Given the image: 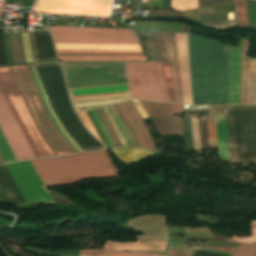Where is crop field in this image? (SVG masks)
Wrapping results in <instances>:
<instances>
[{"label": "crop field", "mask_w": 256, "mask_h": 256, "mask_svg": "<svg viewBox=\"0 0 256 256\" xmlns=\"http://www.w3.org/2000/svg\"><path fill=\"white\" fill-rule=\"evenodd\" d=\"M31 162L45 187L70 185L91 178L119 177L107 150Z\"/></svg>", "instance_id": "1"}, {"label": "crop field", "mask_w": 256, "mask_h": 256, "mask_svg": "<svg viewBox=\"0 0 256 256\" xmlns=\"http://www.w3.org/2000/svg\"><path fill=\"white\" fill-rule=\"evenodd\" d=\"M33 67V66H32ZM32 67L30 66V70L31 73L33 75V78L35 80V83L37 85L38 91L40 93V96L42 98V101L44 103V106L47 110V112L49 113L50 117L52 118V120L54 121L55 125L57 126V128L59 129L60 133L64 136V138L69 142V144L74 148V150L76 152H79V148L78 146L69 138V136L64 132L62 126L60 125L59 121L57 120L55 114L53 113L48 100L46 98V95L43 91V88L41 86V83L38 79H37L40 83V86L42 88V91L45 95V98L47 100V103L52 111V113L54 114L56 120L58 121L59 125L61 126L63 132L68 136V138L77 146H76L67 138V136L62 132L61 128L59 127L57 121L55 120L54 116L52 115L46 100L44 98V95L41 91V88L39 86V83L36 79V76L34 74V71L32 69ZM28 67L26 66H17V67H9V70L14 78V81L19 89V92L35 122V124L37 125L41 135L43 136V138L45 139V141L48 143V145L50 146V148L52 149V151L55 153L56 156H61V155H67V154H73L75 151L73 150V148L68 144V142L63 138V136L59 133V131L57 130L56 126L54 125V123L52 122L51 118L49 117V115L47 114L43 103L41 101V98L39 96V93L37 91L36 85L34 83V80L32 78V75L30 73ZM81 151V150H80Z\"/></svg>", "instance_id": "2"}, {"label": "crop field", "mask_w": 256, "mask_h": 256, "mask_svg": "<svg viewBox=\"0 0 256 256\" xmlns=\"http://www.w3.org/2000/svg\"><path fill=\"white\" fill-rule=\"evenodd\" d=\"M0 89L27 138L36 158L53 157L54 154L40 135L13 82L8 67L0 68Z\"/></svg>", "instance_id": "3"}, {"label": "crop field", "mask_w": 256, "mask_h": 256, "mask_svg": "<svg viewBox=\"0 0 256 256\" xmlns=\"http://www.w3.org/2000/svg\"><path fill=\"white\" fill-rule=\"evenodd\" d=\"M133 99L169 101L161 62H126Z\"/></svg>", "instance_id": "4"}, {"label": "crop field", "mask_w": 256, "mask_h": 256, "mask_svg": "<svg viewBox=\"0 0 256 256\" xmlns=\"http://www.w3.org/2000/svg\"><path fill=\"white\" fill-rule=\"evenodd\" d=\"M55 43L139 44L131 30L50 26Z\"/></svg>", "instance_id": "5"}, {"label": "crop field", "mask_w": 256, "mask_h": 256, "mask_svg": "<svg viewBox=\"0 0 256 256\" xmlns=\"http://www.w3.org/2000/svg\"><path fill=\"white\" fill-rule=\"evenodd\" d=\"M110 113L112 114L115 122L117 123L119 129L123 130V132L125 133L130 145H134L132 139L130 138L128 132L126 131L124 125L122 124L121 120L119 119L117 113L115 112L113 106H111V109L116 117H114L110 107H108ZM107 107L104 108H100V109H96V110H92V111H88V112H84V113H80V117L82 118V120L85 122V124L87 125V127L89 128V130L94 133L106 146H122V145H127L128 141L124 135V133L120 132V130L118 129L116 123L114 122L111 114L109 113ZM128 143V145H129Z\"/></svg>", "instance_id": "6"}, {"label": "crop field", "mask_w": 256, "mask_h": 256, "mask_svg": "<svg viewBox=\"0 0 256 256\" xmlns=\"http://www.w3.org/2000/svg\"><path fill=\"white\" fill-rule=\"evenodd\" d=\"M6 167L18 185L27 204L53 202L30 160L7 164Z\"/></svg>", "instance_id": "7"}, {"label": "crop field", "mask_w": 256, "mask_h": 256, "mask_svg": "<svg viewBox=\"0 0 256 256\" xmlns=\"http://www.w3.org/2000/svg\"><path fill=\"white\" fill-rule=\"evenodd\" d=\"M111 0H39L33 11L109 17Z\"/></svg>", "instance_id": "8"}, {"label": "crop field", "mask_w": 256, "mask_h": 256, "mask_svg": "<svg viewBox=\"0 0 256 256\" xmlns=\"http://www.w3.org/2000/svg\"><path fill=\"white\" fill-rule=\"evenodd\" d=\"M0 128L17 161L35 158L1 91Z\"/></svg>", "instance_id": "9"}, {"label": "crop field", "mask_w": 256, "mask_h": 256, "mask_svg": "<svg viewBox=\"0 0 256 256\" xmlns=\"http://www.w3.org/2000/svg\"><path fill=\"white\" fill-rule=\"evenodd\" d=\"M116 107L131 135L133 136L137 146L159 151L150 132L131 101L116 104Z\"/></svg>", "instance_id": "10"}, {"label": "crop field", "mask_w": 256, "mask_h": 256, "mask_svg": "<svg viewBox=\"0 0 256 256\" xmlns=\"http://www.w3.org/2000/svg\"><path fill=\"white\" fill-rule=\"evenodd\" d=\"M122 90H129L127 85H120V86H106V87H94V88H84V89H74L70 90L72 95H79V94H90V93H100V92H111V91H122ZM129 93V91H122V92H111V93H101V94H90V95H79V96H72V98L77 97H89V96H100V95H112V94H124ZM130 96L129 94L124 95H112V96H101V97H89V98H77L74 99V102L77 101H87V100H97V99H106V98H116V97H126ZM126 98H116V99H106V100H97V101H87V102H77L73 103L76 110H81L89 107H94L102 104H107L115 101H120Z\"/></svg>", "instance_id": "11"}, {"label": "crop field", "mask_w": 256, "mask_h": 256, "mask_svg": "<svg viewBox=\"0 0 256 256\" xmlns=\"http://www.w3.org/2000/svg\"><path fill=\"white\" fill-rule=\"evenodd\" d=\"M160 135H178L170 104L141 101Z\"/></svg>", "instance_id": "12"}, {"label": "crop field", "mask_w": 256, "mask_h": 256, "mask_svg": "<svg viewBox=\"0 0 256 256\" xmlns=\"http://www.w3.org/2000/svg\"><path fill=\"white\" fill-rule=\"evenodd\" d=\"M26 63L33 62L28 35L21 34ZM8 65L25 64L20 34L4 33Z\"/></svg>", "instance_id": "13"}, {"label": "crop field", "mask_w": 256, "mask_h": 256, "mask_svg": "<svg viewBox=\"0 0 256 256\" xmlns=\"http://www.w3.org/2000/svg\"><path fill=\"white\" fill-rule=\"evenodd\" d=\"M159 34H170V33H157V35H158V40H159V44H160L162 58H163V53H164L165 63H166V57H167V63H168V68H169V73H170V78H171L174 98H175V100L180 101L172 37L171 36H163L164 45H165V51H166V57H165V51H164L162 35H160V37H161V42H162V47H163V53H162V48H161V42H160ZM174 42H175V37H174ZM175 50H176V45H175ZM164 58H163V63H164ZM176 58H177V53H176ZM165 63H164V69H165V74H166V79H167V85H168V90H169V95H170V101L172 103V99H173V102H177V101H174V98H173V93H172V88H171V83H170L167 63H166V68H167V73H168V78H169V84H170V89H171V94H172V99H171V94H170V89H169V84H168V78H167ZM177 66H178V61H177ZM178 74H179V69H178ZM179 82H180V77H179ZM180 90H181V85H180ZM181 98H182V93H181ZM177 103H181V102H177ZM182 104H183V101H182Z\"/></svg>", "instance_id": "14"}, {"label": "crop field", "mask_w": 256, "mask_h": 256, "mask_svg": "<svg viewBox=\"0 0 256 256\" xmlns=\"http://www.w3.org/2000/svg\"><path fill=\"white\" fill-rule=\"evenodd\" d=\"M175 37H176L183 101H184V104L186 105H192L186 35L175 34Z\"/></svg>", "instance_id": "15"}, {"label": "crop field", "mask_w": 256, "mask_h": 256, "mask_svg": "<svg viewBox=\"0 0 256 256\" xmlns=\"http://www.w3.org/2000/svg\"><path fill=\"white\" fill-rule=\"evenodd\" d=\"M241 52L229 46V104H239Z\"/></svg>", "instance_id": "16"}, {"label": "crop field", "mask_w": 256, "mask_h": 256, "mask_svg": "<svg viewBox=\"0 0 256 256\" xmlns=\"http://www.w3.org/2000/svg\"><path fill=\"white\" fill-rule=\"evenodd\" d=\"M31 251L53 256H158L156 253H143V252H112V251H99V250H71V251H55L50 249L36 248L25 246Z\"/></svg>", "instance_id": "17"}, {"label": "crop field", "mask_w": 256, "mask_h": 256, "mask_svg": "<svg viewBox=\"0 0 256 256\" xmlns=\"http://www.w3.org/2000/svg\"><path fill=\"white\" fill-rule=\"evenodd\" d=\"M165 242L137 240V243L106 242L103 249L162 252Z\"/></svg>", "instance_id": "18"}, {"label": "crop field", "mask_w": 256, "mask_h": 256, "mask_svg": "<svg viewBox=\"0 0 256 256\" xmlns=\"http://www.w3.org/2000/svg\"><path fill=\"white\" fill-rule=\"evenodd\" d=\"M0 185L9 203L26 204L5 165L0 166Z\"/></svg>", "instance_id": "19"}, {"label": "crop field", "mask_w": 256, "mask_h": 256, "mask_svg": "<svg viewBox=\"0 0 256 256\" xmlns=\"http://www.w3.org/2000/svg\"><path fill=\"white\" fill-rule=\"evenodd\" d=\"M234 9V5L199 9L200 22L236 21L235 15L234 20H228L227 16Z\"/></svg>", "instance_id": "20"}, {"label": "crop field", "mask_w": 256, "mask_h": 256, "mask_svg": "<svg viewBox=\"0 0 256 256\" xmlns=\"http://www.w3.org/2000/svg\"><path fill=\"white\" fill-rule=\"evenodd\" d=\"M57 49L141 51L139 45L55 44Z\"/></svg>", "instance_id": "21"}, {"label": "crop field", "mask_w": 256, "mask_h": 256, "mask_svg": "<svg viewBox=\"0 0 256 256\" xmlns=\"http://www.w3.org/2000/svg\"><path fill=\"white\" fill-rule=\"evenodd\" d=\"M111 150L117 158H119L121 161H123L127 165L133 162H136L142 158L148 157L150 155L159 154L156 152H151L141 148H133V147L118 148V149H111Z\"/></svg>", "instance_id": "22"}, {"label": "crop field", "mask_w": 256, "mask_h": 256, "mask_svg": "<svg viewBox=\"0 0 256 256\" xmlns=\"http://www.w3.org/2000/svg\"><path fill=\"white\" fill-rule=\"evenodd\" d=\"M216 122L219 160H229L226 135V114L216 115Z\"/></svg>", "instance_id": "23"}, {"label": "crop field", "mask_w": 256, "mask_h": 256, "mask_svg": "<svg viewBox=\"0 0 256 256\" xmlns=\"http://www.w3.org/2000/svg\"><path fill=\"white\" fill-rule=\"evenodd\" d=\"M207 249L218 250L226 253L233 254V256H256V243L246 245L239 243L237 247H207Z\"/></svg>", "instance_id": "24"}, {"label": "crop field", "mask_w": 256, "mask_h": 256, "mask_svg": "<svg viewBox=\"0 0 256 256\" xmlns=\"http://www.w3.org/2000/svg\"><path fill=\"white\" fill-rule=\"evenodd\" d=\"M247 104H256V60L249 59Z\"/></svg>", "instance_id": "25"}, {"label": "crop field", "mask_w": 256, "mask_h": 256, "mask_svg": "<svg viewBox=\"0 0 256 256\" xmlns=\"http://www.w3.org/2000/svg\"><path fill=\"white\" fill-rule=\"evenodd\" d=\"M60 61L146 60L145 57H58Z\"/></svg>", "instance_id": "26"}, {"label": "crop field", "mask_w": 256, "mask_h": 256, "mask_svg": "<svg viewBox=\"0 0 256 256\" xmlns=\"http://www.w3.org/2000/svg\"><path fill=\"white\" fill-rule=\"evenodd\" d=\"M248 58L242 54L240 104H246Z\"/></svg>", "instance_id": "27"}, {"label": "crop field", "mask_w": 256, "mask_h": 256, "mask_svg": "<svg viewBox=\"0 0 256 256\" xmlns=\"http://www.w3.org/2000/svg\"><path fill=\"white\" fill-rule=\"evenodd\" d=\"M237 8V27L248 29V19L245 0H235Z\"/></svg>", "instance_id": "28"}, {"label": "crop field", "mask_w": 256, "mask_h": 256, "mask_svg": "<svg viewBox=\"0 0 256 256\" xmlns=\"http://www.w3.org/2000/svg\"><path fill=\"white\" fill-rule=\"evenodd\" d=\"M0 155L4 163L16 161L10 147L8 146L3 134L0 131Z\"/></svg>", "instance_id": "29"}, {"label": "crop field", "mask_w": 256, "mask_h": 256, "mask_svg": "<svg viewBox=\"0 0 256 256\" xmlns=\"http://www.w3.org/2000/svg\"><path fill=\"white\" fill-rule=\"evenodd\" d=\"M209 147L217 146L215 115L207 116Z\"/></svg>", "instance_id": "30"}, {"label": "crop field", "mask_w": 256, "mask_h": 256, "mask_svg": "<svg viewBox=\"0 0 256 256\" xmlns=\"http://www.w3.org/2000/svg\"><path fill=\"white\" fill-rule=\"evenodd\" d=\"M198 8L197 0H172L171 9L187 10Z\"/></svg>", "instance_id": "31"}, {"label": "crop field", "mask_w": 256, "mask_h": 256, "mask_svg": "<svg viewBox=\"0 0 256 256\" xmlns=\"http://www.w3.org/2000/svg\"><path fill=\"white\" fill-rule=\"evenodd\" d=\"M247 9H248V18H249V29L256 31V1H248Z\"/></svg>", "instance_id": "32"}, {"label": "crop field", "mask_w": 256, "mask_h": 256, "mask_svg": "<svg viewBox=\"0 0 256 256\" xmlns=\"http://www.w3.org/2000/svg\"><path fill=\"white\" fill-rule=\"evenodd\" d=\"M190 121H191V129H192V136H193V142H194V150H198V149H201L198 119L196 120L195 117H192L190 118Z\"/></svg>", "instance_id": "33"}, {"label": "crop field", "mask_w": 256, "mask_h": 256, "mask_svg": "<svg viewBox=\"0 0 256 256\" xmlns=\"http://www.w3.org/2000/svg\"><path fill=\"white\" fill-rule=\"evenodd\" d=\"M251 229L250 231L253 232V235L248 238H237L233 237L228 241H234V242H244V243H253L256 242V221L250 220Z\"/></svg>", "instance_id": "34"}, {"label": "crop field", "mask_w": 256, "mask_h": 256, "mask_svg": "<svg viewBox=\"0 0 256 256\" xmlns=\"http://www.w3.org/2000/svg\"><path fill=\"white\" fill-rule=\"evenodd\" d=\"M57 53H142V52L57 50Z\"/></svg>", "instance_id": "35"}, {"label": "crop field", "mask_w": 256, "mask_h": 256, "mask_svg": "<svg viewBox=\"0 0 256 256\" xmlns=\"http://www.w3.org/2000/svg\"><path fill=\"white\" fill-rule=\"evenodd\" d=\"M60 56H144L143 54H60Z\"/></svg>", "instance_id": "36"}, {"label": "crop field", "mask_w": 256, "mask_h": 256, "mask_svg": "<svg viewBox=\"0 0 256 256\" xmlns=\"http://www.w3.org/2000/svg\"><path fill=\"white\" fill-rule=\"evenodd\" d=\"M153 45L155 60H161L156 33H149Z\"/></svg>", "instance_id": "37"}, {"label": "crop field", "mask_w": 256, "mask_h": 256, "mask_svg": "<svg viewBox=\"0 0 256 256\" xmlns=\"http://www.w3.org/2000/svg\"><path fill=\"white\" fill-rule=\"evenodd\" d=\"M132 101H133L135 107L137 108L139 114L142 116V118L148 115V114L146 115V113H145V111H144L145 109L143 110V108H142V106L140 105L139 101H136V100H132ZM147 117H148V116H147ZM145 118H146V117H145ZM143 119H144V118H143Z\"/></svg>", "instance_id": "38"}, {"label": "crop field", "mask_w": 256, "mask_h": 256, "mask_svg": "<svg viewBox=\"0 0 256 256\" xmlns=\"http://www.w3.org/2000/svg\"><path fill=\"white\" fill-rule=\"evenodd\" d=\"M149 8H163L162 0H149Z\"/></svg>", "instance_id": "39"}, {"label": "crop field", "mask_w": 256, "mask_h": 256, "mask_svg": "<svg viewBox=\"0 0 256 256\" xmlns=\"http://www.w3.org/2000/svg\"><path fill=\"white\" fill-rule=\"evenodd\" d=\"M174 119H175L176 124H177V128H178V133H179V135H184V134H183V129H182L181 117H177V118H174Z\"/></svg>", "instance_id": "40"}, {"label": "crop field", "mask_w": 256, "mask_h": 256, "mask_svg": "<svg viewBox=\"0 0 256 256\" xmlns=\"http://www.w3.org/2000/svg\"><path fill=\"white\" fill-rule=\"evenodd\" d=\"M173 113H179V112H184L183 106L182 105H176V104H171Z\"/></svg>", "instance_id": "41"}, {"label": "crop field", "mask_w": 256, "mask_h": 256, "mask_svg": "<svg viewBox=\"0 0 256 256\" xmlns=\"http://www.w3.org/2000/svg\"><path fill=\"white\" fill-rule=\"evenodd\" d=\"M192 248L202 249V248H198V247H194V246H192ZM202 250H207V249H202ZM208 251H213V250H208ZM213 252H218V251H213ZM218 253H222V252H218ZM224 254H226V253H224Z\"/></svg>", "instance_id": "42"}, {"label": "crop field", "mask_w": 256, "mask_h": 256, "mask_svg": "<svg viewBox=\"0 0 256 256\" xmlns=\"http://www.w3.org/2000/svg\"><path fill=\"white\" fill-rule=\"evenodd\" d=\"M169 243H173V244H177V245H181V246H185V245H182V244H178V243H174V242H170ZM186 247V246H185Z\"/></svg>", "instance_id": "43"}, {"label": "crop field", "mask_w": 256, "mask_h": 256, "mask_svg": "<svg viewBox=\"0 0 256 256\" xmlns=\"http://www.w3.org/2000/svg\"><path fill=\"white\" fill-rule=\"evenodd\" d=\"M1 163H3V161H2V159H1V157H0V164H1Z\"/></svg>", "instance_id": "44"}, {"label": "crop field", "mask_w": 256, "mask_h": 256, "mask_svg": "<svg viewBox=\"0 0 256 256\" xmlns=\"http://www.w3.org/2000/svg\"><path fill=\"white\" fill-rule=\"evenodd\" d=\"M161 256H165V255H161Z\"/></svg>", "instance_id": "45"}]
</instances>
